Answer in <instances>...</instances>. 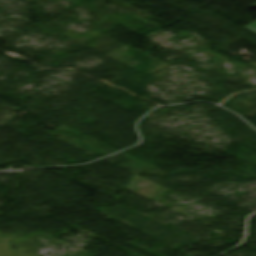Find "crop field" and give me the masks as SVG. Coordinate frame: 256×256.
<instances>
[{"label": "crop field", "mask_w": 256, "mask_h": 256, "mask_svg": "<svg viewBox=\"0 0 256 256\" xmlns=\"http://www.w3.org/2000/svg\"><path fill=\"white\" fill-rule=\"evenodd\" d=\"M253 32H256V21L250 24L249 26L245 27Z\"/></svg>", "instance_id": "1"}, {"label": "crop field", "mask_w": 256, "mask_h": 256, "mask_svg": "<svg viewBox=\"0 0 256 256\" xmlns=\"http://www.w3.org/2000/svg\"><path fill=\"white\" fill-rule=\"evenodd\" d=\"M256 5V4H255Z\"/></svg>", "instance_id": "2"}]
</instances>
